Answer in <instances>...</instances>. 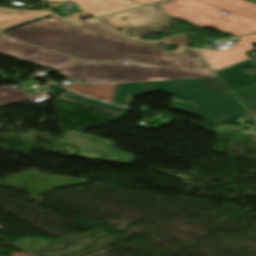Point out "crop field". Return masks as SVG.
<instances>
[{"label":"crop field","mask_w":256,"mask_h":256,"mask_svg":"<svg viewBox=\"0 0 256 256\" xmlns=\"http://www.w3.org/2000/svg\"><path fill=\"white\" fill-rule=\"evenodd\" d=\"M160 89L189 101H174V109L204 117L212 126L248 115L218 78L118 84L111 102L128 107L133 96Z\"/></svg>","instance_id":"2"},{"label":"crop field","mask_w":256,"mask_h":256,"mask_svg":"<svg viewBox=\"0 0 256 256\" xmlns=\"http://www.w3.org/2000/svg\"><path fill=\"white\" fill-rule=\"evenodd\" d=\"M240 38L241 41L233 43L229 48L221 51L198 50L213 69H220L230 64L249 58L244 53L254 49L251 45L256 43V34L231 38Z\"/></svg>","instance_id":"8"},{"label":"crop field","mask_w":256,"mask_h":256,"mask_svg":"<svg viewBox=\"0 0 256 256\" xmlns=\"http://www.w3.org/2000/svg\"><path fill=\"white\" fill-rule=\"evenodd\" d=\"M245 66H251L253 69L256 70V63L253 60H248L240 64L220 70L217 73L230 87L231 90L256 84V74L249 75L240 70Z\"/></svg>","instance_id":"10"},{"label":"crop field","mask_w":256,"mask_h":256,"mask_svg":"<svg viewBox=\"0 0 256 256\" xmlns=\"http://www.w3.org/2000/svg\"><path fill=\"white\" fill-rule=\"evenodd\" d=\"M80 16L87 17L83 12H81V13H77L75 15L69 16V17L65 18V20L69 21V22L80 21V19H79Z\"/></svg>","instance_id":"16"},{"label":"crop field","mask_w":256,"mask_h":256,"mask_svg":"<svg viewBox=\"0 0 256 256\" xmlns=\"http://www.w3.org/2000/svg\"><path fill=\"white\" fill-rule=\"evenodd\" d=\"M58 100L87 106L105 113H109V114H113L121 117L125 116L128 110L126 108H120V107L109 105L103 102L85 98L75 93H72L68 90L64 91L62 95L58 98Z\"/></svg>","instance_id":"11"},{"label":"crop field","mask_w":256,"mask_h":256,"mask_svg":"<svg viewBox=\"0 0 256 256\" xmlns=\"http://www.w3.org/2000/svg\"><path fill=\"white\" fill-rule=\"evenodd\" d=\"M235 93L245 106L256 103V85L235 91Z\"/></svg>","instance_id":"14"},{"label":"crop field","mask_w":256,"mask_h":256,"mask_svg":"<svg viewBox=\"0 0 256 256\" xmlns=\"http://www.w3.org/2000/svg\"><path fill=\"white\" fill-rule=\"evenodd\" d=\"M57 72L86 84L125 83L173 79L216 77L213 72H186L175 69L129 62L117 64H87L77 61Z\"/></svg>","instance_id":"4"},{"label":"crop field","mask_w":256,"mask_h":256,"mask_svg":"<svg viewBox=\"0 0 256 256\" xmlns=\"http://www.w3.org/2000/svg\"><path fill=\"white\" fill-rule=\"evenodd\" d=\"M250 1L256 2V0H250Z\"/></svg>","instance_id":"20"},{"label":"crop field","mask_w":256,"mask_h":256,"mask_svg":"<svg viewBox=\"0 0 256 256\" xmlns=\"http://www.w3.org/2000/svg\"><path fill=\"white\" fill-rule=\"evenodd\" d=\"M0 36L86 62L136 61L183 70L211 71L195 50L179 48L175 53L162 52L158 43L136 41L93 21L68 25L54 16Z\"/></svg>","instance_id":"1"},{"label":"crop field","mask_w":256,"mask_h":256,"mask_svg":"<svg viewBox=\"0 0 256 256\" xmlns=\"http://www.w3.org/2000/svg\"><path fill=\"white\" fill-rule=\"evenodd\" d=\"M59 5H61V4H57V5H52V7H55V6H59Z\"/></svg>","instance_id":"19"},{"label":"crop field","mask_w":256,"mask_h":256,"mask_svg":"<svg viewBox=\"0 0 256 256\" xmlns=\"http://www.w3.org/2000/svg\"><path fill=\"white\" fill-rule=\"evenodd\" d=\"M55 2L74 1L85 12L95 16H103L135 7L139 5L128 0H44Z\"/></svg>","instance_id":"9"},{"label":"crop field","mask_w":256,"mask_h":256,"mask_svg":"<svg viewBox=\"0 0 256 256\" xmlns=\"http://www.w3.org/2000/svg\"><path fill=\"white\" fill-rule=\"evenodd\" d=\"M0 54L58 69L77 60L0 38Z\"/></svg>","instance_id":"7"},{"label":"crop field","mask_w":256,"mask_h":256,"mask_svg":"<svg viewBox=\"0 0 256 256\" xmlns=\"http://www.w3.org/2000/svg\"><path fill=\"white\" fill-rule=\"evenodd\" d=\"M68 138H71L72 140H69ZM89 140L94 141L89 142ZM65 143L80 148L82 150L76 153L75 156L77 157L126 164H131L133 161L136 160L131 155L114 149V143L112 141L91 135H82L71 130H69L65 134ZM75 144H77L78 146H75ZM91 153L94 155H90Z\"/></svg>","instance_id":"6"},{"label":"crop field","mask_w":256,"mask_h":256,"mask_svg":"<svg viewBox=\"0 0 256 256\" xmlns=\"http://www.w3.org/2000/svg\"><path fill=\"white\" fill-rule=\"evenodd\" d=\"M173 18L232 35L256 33V4L243 0H171L159 4ZM227 11L224 15L220 11Z\"/></svg>","instance_id":"3"},{"label":"crop field","mask_w":256,"mask_h":256,"mask_svg":"<svg viewBox=\"0 0 256 256\" xmlns=\"http://www.w3.org/2000/svg\"><path fill=\"white\" fill-rule=\"evenodd\" d=\"M123 16L127 19L121 20L120 18ZM97 21L113 29L127 30L135 34L134 37L138 39L173 25L168 15L158 4L97 19ZM146 24L151 25L146 27Z\"/></svg>","instance_id":"5"},{"label":"crop field","mask_w":256,"mask_h":256,"mask_svg":"<svg viewBox=\"0 0 256 256\" xmlns=\"http://www.w3.org/2000/svg\"><path fill=\"white\" fill-rule=\"evenodd\" d=\"M50 14L52 13L47 11H17L6 8H0V30Z\"/></svg>","instance_id":"12"},{"label":"crop field","mask_w":256,"mask_h":256,"mask_svg":"<svg viewBox=\"0 0 256 256\" xmlns=\"http://www.w3.org/2000/svg\"><path fill=\"white\" fill-rule=\"evenodd\" d=\"M158 42L169 43V44L185 46V47H188L190 44L181 34L162 39Z\"/></svg>","instance_id":"15"},{"label":"crop field","mask_w":256,"mask_h":256,"mask_svg":"<svg viewBox=\"0 0 256 256\" xmlns=\"http://www.w3.org/2000/svg\"><path fill=\"white\" fill-rule=\"evenodd\" d=\"M252 117L256 120V104L246 107Z\"/></svg>","instance_id":"18"},{"label":"crop field","mask_w":256,"mask_h":256,"mask_svg":"<svg viewBox=\"0 0 256 256\" xmlns=\"http://www.w3.org/2000/svg\"><path fill=\"white\" fill-rule=\"evenodd\" d=\"M132 1H135L138 4L144 6V5H148V4H152V3L158 2L160 0H132Z\"/></svg>","instance_id":"17"},{"label":"crop field","mask_w":256,"mask_h":256,"mask_svg":"<svg viewBox=\"0 0 256 256\" xmlns=\"http://www.w3.org/2000/svg\"><path fill=\"white\" fill-rule=\"evenodd\" d=\"M36 98L38 97H33L11 86H3L0 88V106L22 101H30L39 104L34 101Z\"/></svg>","instance_id":"13"}]
</instances>
